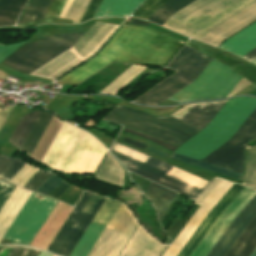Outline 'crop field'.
I'll list each match as a JSON object with an SVG mask.
<instances>
[{
  "label": "crop field",
  "mask_w": 256,
  "mask_h": 256,
  "mask_svg": "<svg viewBox=\"0 0 256 256\" xmlns=\"http://www.w3.org/2000/svg\"><path fill=\"white\" fill-rule=\"evenodd\" d=\"M117 27L95 22L75 46L32 72L31 75L58 78L93 55Z\"/></svg>",
  "instance_id": "crop-field-10"
},
{
  "label": "crop field",
  "mask_w": 256,
  "mask_h": 256,
  "mask_svg": "<svg viewBox=\"0 0 256 256\" xmlns=\"http://www.w3.org/2000/svg\"><path fill=\"white\" fill-rule=\"evenodd\" d=\"M39 113L40 111H33L24 115L21 118L15 131L13 132L8 143L19 148L20 144L22 143L23 139L25 138L26 134L33 125ZM53 116L54 115L51 113L41 111L31 130L21 144L19 150L25 151L31 156Z\"/></svg>",
  "instance_id": "crop-field-14"
},
{
  "label": "crop field",
  "mask_w": 256,
  "mask_h": 256,
  "mask_svg": "<svg viewBox=\"0 0 256 256\" xmlns=\"http://www.w3.org/2000/svg\"><path fill=\"white\" fill-rule=\"evenodd\" d=\"M244 186L234 184L231 189L224 195V197L216 204V206L211 210L178 256H190L198 244L202 241L220 215L225 211V209L231 204V202L236 198V196L242 191Z\"/></svg>",
  "instance_id": "crop-field-19"
},
{
  "label": "crop field",
  "mask_w": 256,
  "mask_h": 256,
  "mask_svg": "<svg viewBox=\"0 0 256 256\" xmlns=\"http://www.w3.org/2000/svg\"><path fill=\"white\" fill-rule=\"evenodd\" d=\"M14 188V185H11L9 183L3 182L0 180V207L3 204V202L6 200L12 189Z\"/></svg>",
  "instance_id": "crop-field-41"
},
{
  "label": "crop field",
  "mask_w": 256,
  "mask_h": 256,
  "mask_svg": "<svg viewBox=\"0 0 256 256\" xmlns=\"http://www.w3.org/2000/svg\"><path fill=\"white\" fill-rule=\"evenodd\" d=\"M70 185H68L65 182H62L50 195L49 197H53L58 199L68 188Z\"/></svg>",
  "instance_id": "crop-field-42"
},
{
  "label": "crop field",
  "mask_w": 256,
  "mask_h": 256,
  "mask_svg": "<svg viewBox=\"0 0 256 256\" xmlns=\"http://www.w3.org/2000/svg\"><path fill=\"white\" fill-rule=\"evenodd\" d=\"M227 101L229 100L188 104L178 109L172 116L184 120L202 130Z\"/></svg>",
  "instance_id": "crop-field-20"
},
{
  "label": "crop field",
  "mask_w": 256,
  "mask_h": 256,
  "mask_svg": "<svg viewBox=\"0 0 256 256\" xmlns=\"http://www.w3.org/2000/svg\"><path fill=\"white\" fill-rule=\"evenodd\" d=\"M170 158L180 160V161H183V162L195 165V166H199V167H202V168H205V169H208V170H211V171H215V172H218V173H221V174H224V175L234 177V178H237V179L241 180V176H242L241 174H238V173H235V172H232V171H228V170H225V169H222V168L210 165V164H206V163H203V162H200V161L188 158V157H184V156L173 153L170 156Z\"/></svg>",
  "instance_id": "crop-field-33"
},
{
  "label": "crop field",
  "mask_w": 256,
  "mask_h": 256,
  "mask_svg": "<svg viewBox=\"0 0 256 256\" xmlns=\"http://www.w3.org/2000/svg\"><path fill=\"white\" fill-rule=\"evenodd\" d=\"M52 173L39 169L22 187L35 191Z\"/></svg>",
  "instance_id": "crop-field-35"
},
{
  "label": "crop field",
  "mask_w": 256,
  "mask_h": 256,
  "mask_svg": "<svg viewBox=\"0 0 256 256\" xmlns=\"http://www.w3.org/2000/svg\"><path fill=\"white\" fill-rule=\"evenodd\" d=\"M30 194L31 191L16 186L0 209V240L5 235Z\"/></svg>",
  "instance_id": "crop-field-23"
},
{
  "label": "crop field",
  "mask_w": 256,
  "mask_h": 256,
  "mask_svg": "<svg viewBox=\"0 0 256 256\" xmlns=\"http://www.w3.org/2000/svg\"><path fill=\"white\" fill-rule=\"evenodd\" d=\"M110 152L129 170L196 199L209 182L114 142Z\"/></svg>",
  "instance_id": "crop-field-5"
},
{
  "label": "crop field",
  "mask_w": 256,
  "mask_h": 256,
  "mask_svg": "<svg viewBox=\"0 0 256 256\" xmlns=\"http://www.w3.org/2000/svg\"><path fill=\"white\" fill-rule=\"evenodd\" d=\"M25 163L20 158L0 154V178L9 181Z\"/></svg>",
  "instance_id": "crop-field-31"
},
{
  "label": "crop field",
  "mask_w": 256,
  "mask_h": 256,
  "mask_svg": "<svg viewBox=\"0 0 256 256\" xmlns=\"http://www.w3.org/2000/svg\"><path fill=\"white\" fill-rule=\"evenodd\" d=\"M165 247L139 225L120 256H159Z\"/></svg>",
  "instance_id": "crop-field-22"
},
{
  "label": "crop field",
  "mask_w": 256,
  "mask_h": 256,
  "mask_svg": "<svg viewBox=\"0 0 256 256\" xmlns=\"http://www.w3.org/2000/svg\"><path fill=\"white\" fill-rule=\"evenodd\" d=\"M106 151L92 135L64 122L42 163L65 173L94 174Z\"/></svg>",
  "instance_id": "crop-field-4"
},
{
  "label": "crop field",
  "mask_w": 256,
  "mask_h": 256,
  "mask_svg": "<svg viewBox=\"0 0 256 256\" xmlns=\"http://www.w3.org/2000/svg\"><path fill=\"white\" fill-rule=\"evenodd\" d=\"M170 0H149L134 17L148 20L155 12H157L164 4ZM194 0H172L164 5L156 14L149 20L162 25L176 11L183 8Z\"/></svg>",
  "instance_id": "crop-field-21"
},
{
  "label": "crop field",
  "mask_w": 256,
  "mask_h": 256,
  "mask_svg": "<svg viewBox=\"0 0 256 256\" xmlns=\"http://www.w3.org/2000/svg\"><path fill=\"white\" fill-rule=\"evenodd\" d=\"M146 196L150 199L156 208L160 219L176 196V193L156 184L150 183Z\"/></svg>",
  "instance_id": "crop-field-27"
},
{
  "label": "crop field",
  "mask_w": 256,
  "mask_h": 256,
  "mask_svg": "<svg viewBox=\"0 0 256 256\" xmlns=\"http://www.w3.org/2000/svg\"><path fill=\"white\" fill-rule=\"evenodd\" d=\"M90 0H73L64 18L79 23ZM53 0H30L20 22L41 20L47 14ZM66 0H54L46 17H58Z\"/></svg>",
  "instance_id": "crop-field-15"
},
{
  "label": "crop field",
  "mask_w": 256,
  "mask_h": 256,
  "mask_svg": "<svg viewBox=\"0 0 256 256\" xmlns=\"http://www.w3.org/2000/svg\"><path fill=\"white\" fill-rule=\"evenodd\" d=\"M251 256H256V250L253 252V254Z\"/></svg>",
  "instance_id": "crop-field-44"
},
{
  "label": "crop field",
  "mask_w": 256,
  "mask_h": 256,
  "mask_svg": "<svg viewBox=\"0 0 256 256\" xmlns=\"http://www.w3.org/2000/svg\"><path fill=\"white\" fill-rule=\"evenodd\" d=\"M211 60L186 45L167 67L178 72L134 100V102L147 105L159 104L194 81Z\"/></svg>",
  "instance_id": "crop-field-8"
},
{
  "label": "crop field",
  "mask_w": 256,
  "mask_h": 256,
  "mask_svg": "<svg viewBox=\"0 0 256 256\" xmlns=\"http://www.w3.org/2000/svg\"><path fill=\"white\" fill-rule=\"evenodd\" d=\"M62 180H64V179L53 174L45 183H43L36 190V192H39L41 194L48 196Z\"/></svg>",
  "instance_id": "crop-field-37"
},
{
  "label": "crop field",
  "mask_w": 256,
  "mask_h": 256,
  "mask_svg": "<svg viewBox=\"0 0 256 256\" xmlns=\"http://www.w3.org/2000/svg\"><path fill=\"white\" fill-rule=\"evenodd\" d=\"M120 202L106 198L93 221L107 224ZM91 222L69 256H86L101 234L105 225Z\"/></svg>",
  "instance_id": "crop-field-17"
},
{
  "label": "crop field",
  "mask_w": 256,
  "mask_h": 256,
  "mask_svg": "<svg viewBox=\"0 0 256 256\" xmlns=\"http://www.w3.org/2000/svg\"><path fill=\"white\" fill-rule=\"evenodd\" d=\"M101 0H91L80 22L93 18Z\"/></svg>",
  "instance_id": "crop-field-39"
},
{
  "label": "crop field",
  "mask_w": 256,
  "mask_h": 256,
  "mask_svg": "<svg viewBox=\"0 0 256 256\" xmlns=\"http://www.w3.org/2000/svg\"><path fill=\"white\" fill-rule=\"evenodd\" d=\"M243 184L256 188V146L247 147V164Z\"/></svg>",
  "instance_id": "crop-field-32"
},
{
  "label": "crop field",
  "mask_w": 256,
  "mask_h": 256,
  "mask_svg": "<svg viewBox=\"0 0 256 256\" xmlns=\"http://www.w3.org/2000/svg\"><path fill=\"white\" fill-rule=\"evenodd\" d=\"M256 47V23L226 41L220 48L228 50L239 57Z\"/></svg>",
  "instance_id": "crop-field-25"
},
{
  "label": "crop field",
  "mask_w": 256,
  "mask_h": 256,
  "mask_svg": "<svg viewBox=\"0 0 256 256\" xmlns=\"http://www.w3.org/2000/svg\"><path fill=\"white\" fill-rule=\"evenodd\" d=\"M233 183L223 180L220 185L212 192V194L199 207L193 217L189 220L183 230L179 233L173 243L169 246L163 256H176L209 211L222 198V196L230 189Z\"/></svg>",
  "instance_id": "crop-field-16"
},
{
  "label": "crop field",
  "mask_w": 256,
  "mask_h": 256,
  "mask_svg": "<svg viewBox=\"0 0 256 256\" xmlns=\"http://www.w3.org/2000/svg\"><path fill=\"white\" fill-rule=\"evenodd\" d=\"M37 170L38 168H35L26 163L10 180V182L22 186Z\"/></svg>",
  "instance_id": "crop-field-36"
},
{
  "label": "crop field",
  "mask_w": 256,
  "mask_h": 256,
  "mask_svg": "<svg viewBox=\"0 0 256 256\" xmlns=\"http://www.w3.org/2000/svg\"><path fill=\"white\" fill-rule=\"evenodd\" d=\"M96 177L122 186L123 169L119 163L108 154Z\"/></svg>",
  "instance_id": "crop-field-29"
},
{
  "label": "crop field",
  "mask_w": 256,
  "mask_h": 256,
  "mask_svg": "<svg viewBox=\"0 0 256 256\" xmlns=\"http://www.w3.org/2000/svg\"><path fill=\"white\" fill-rule=\"evenodd\" d=\"M182 43L149 27L123 25L96 57L59 81L78 84L110 62L162 68Z\"/></svg>",
  "instance_id": "crop-field-2"
},
{
  "label": "crop field",
  "mask_w": 256,
  "mask_h": 256,
  "mask_svg": "<svg viewBox=\"0 0 256 256\" xmlns=\"http://www.w3.org/2000/svg\"><path fill=\"white\" fill-rule=\"evenodd\" d=\"M255 110L254 98L241 97L230 100L201 132L180 146L175 153L201 160L228 140ZM254 137L256 111L227 142L202 161L242 174L244 146Z\"/></svg>",
  "instance_id": "crop-field-1"
},
{
  "label": "crop field",
  "mask_w": 256,
  "mask_h": 256,
  "mask_svg": "<svg viewBox=\"0 0 256 256\" xmlns=\"http://www.w3.org/2000/svg\"><path fill=\"white\" fill-rule=\"evenodd\" d=\"M256 248V217L248 225L226 256H250Z\"/></svg>",
  "instance_id": "crop-field-26"
},
{
  "label": "crop field",
  "mask_w": 256,
  "mask_h": 256,
  "mask_svg": "<svg viewBox=\"0 0 256 256\" xmlns=\"http://www.w3.org/2000/svg\"><path fill=\"white\" fill-rule=\"evenodd\" d=\"M57 200L32 192L4 239L30 245Z\"/></svg>",
  "instance_id": "crop-field-12"
},
{
  "label": "crop field",
  "mask_w": 256,
  "mask_h": 256,
  "mask_svg": "<svg viewBox=\"0 0 256 256\" xmlns=\"http://www.w3.org/2000/svg\"><path fill=\"white\" fill-rule=\"evenodd\" d=\"M222 179L216 178L211 185L201 194V196L195 201V204L201 205L203 201L210 195V193L219 185Z\"/></svg>",
  "instance_id": "crop-field-40"
},
{
  "label": "crop field",
  "mask_w": 256,
  "mask_h": 256,
  "mask_svg": "<svg viewBox=\"0 0 256 256\" xmlns=\"http://www.w3.org/2000/svg\"><path fill=\"white\" fill-rule=\"evenodd\" d=\"M27 0H0V26L14 25Z\"/></svg>",
  "instance_id": "crop-field-28"
},
{
  "label": "crop field",
  "mask_w": 256,
  "mask_h": 256,
  "mask_svg": "<svg viewBox=\"0 0 256 256\" xmlns=\"http://www.w3.org/2000/svg\"><path fill=\"white\" fill-rule=\"evenodd\" d=\"M256 216V195L234 219L207 256H225L247 225Z\"/></svg>",
  "instance_id": "crop-field-18"
},
{
  "label": "crop field",
  "mask_w": 256,
  "mask_h": 256,
  "mask_svg": "<svg viewBox=\"0 0 256 256\" xmlns=\"http://www.w3.org/2000/svg\"><path fill=\"white\" fill-rule=\"evenodd\" d=\"M104 200L105 197L86 191L49 251L68 256Z\"/></svg>",
  "instance_id": "crop-field-11"
},
{
  "label": "crop field",
  "mask_w": 256,
  "mask_h": 256,
  "mask_svg": "<svg viewBox=\"0 0 256 256\" xmlns=\"http://www.w3.org/2000/svg\"><path fill=\"white\" fill-rule=\"evenodd\" d=\"M251 63H253V64H255L256 65V60H254L253 62H251Z\"/></svg>",
  "instance_id": "crop-field-45"
},
{
  "label": "crop field",
  "mask_w": 256,
  "mask_h": 256,
  "mask_svg": "<svg viewBox=\"0 0 256 256\" xmlns=\"http://www.w3.org/2000/svg\"><path fill=\"white\" fill-rule=\"evenodd\" d=\"M243 59H245V60H247V61H249V62H251V61H253L254 59H256V48H255L254 50L250 51L249 53H247V54L243 57Z\"/></svg>",
  "instance_id": "crop-field-43"
},
{
  "label": "crop field",
  "mask_w": 256,
  "mask_h": 256,
  "mask_svg": "<svg viewBox=\"0 0 256 256\" xmlns=\"http://www.w3.org/2000/svg\"><path fill=\"white\" fill-rule=\"evenodd\" d=\"M83 35L84 33L61 34L30 39L26 42L23 41L9 46L0 45V63L25 42L5 61H3L2 64L29 74L73 46ZM0 69L25 79H34L51 83L49 80L22 75L20 72L1 65Z\"/></svg>",
  "instance_id": "crop-field-6"
},
{
  "label": "crop field",
  "mask_w": 256,
  "mask_h": 256,
  "mask_svg": "<svg viewBox=\"0 0 256 256\" xmlns=\"http://www.w3.org/2000/svg\"><path fill=\"white\" fill-rule=\"evenodd\" d=\"M242 76L230 67L212 60L198 78L168 100L187 102L225 98Z\"/></svg>",
  "instance_id": "crop-field-9"
},
{
  "label": "crop field",
  "mask_w": 256,
  "mask_h": 256,
  "mask_svg": "<svg viewBox=\"0 0 256 256\" xmlns=\"http://www.w3.org/2000/svg\"><path fill=\"white\" fill-rule=\"evenodd\" d=\"M144 0H102L94 18L127 17Z\"/></svg>",
  "instance_id": "crop-field-24"
},
{
  "label": "crop field",
  "mask_w": 256,
  "mask_h": 256,
  "mask_svg": "<svg viewBox=\"0 0 256 256\" xmlns=\"http://www.w3.org/2000/svg\"><path fill=\"white\" fill-rule=\"evenodd\" d=\"M145 68V66L133 65L100 93L114 95Z\"/></svg>",
  "instance_id": "crop-field-30"
},
{
  "label": "crop field",
  "mask_w": 256,
  "mask_h": 256,
  "mask_svg": "<svg viewBox=\"0 0 256 256\" xmlns=\"http://www.w3.org/2000/svg\"><path fill=\"white\" fill-rule=\"evenodd\" d=\"M39 250L20 246H1L0 256H36Z\"/></svg>",
  "instance_id": "crop-field-34"
},
{
  "label": "crop field",
  "mask_w": 256,
  "mask_h": 256,
  "mask_svg": "<svg viewBox=\"0 0 256 256\" xmlns=\"http://www.w3.org/2000/svg\"><path fill=\"white\" fill-rule=\"evenodd\" d=\"M255 20L256 0H195L163 26L217 47Z\"/></svg>",
  "instance_id": "crop-field-3"
},
{
  "label": "crop field",
  "mask_w": 256,
  "mask_h": 256,
  "mask_svg": "<svg viewBox=\"0 0 256 256\" xmlns=\"http://www.w3.org/2000/svg\"><path fill=\"white\" fill-rule=\"evenodd\" d=\"M123 131H126V132H129V133L135 134L137 136L149 139V140H151V141H153V142H155V143H157V144H159V145H161V146H163V147H165V148H167V149H169V150H171L173 152L177 149V147H175L173 145H170V144H168L166 142H163V141H161V140H159L157 138H154V137H152L150 135L143 134V133H140V132H136V131L130 130L128 128H125V127L123 128Z\"/></svg>",
  "instance_id": "crop-field-38"
},
{
  "label": "crop field",
  "mask_w": 256,
  "mask_h": 256,
  "mask_svg": "<svg viewBox=\"0 0 256 256\" xmlns=\"http://www.w3.org/2000/svg\"><path fill=\"white\" fill-rule=\"evenodd\" d=\"M104 119L151 134L177 146L201 131L172 116L154 117L120 105Z\"/></svg>",
  "instance_id": "crop-field-7"
},
{
  "label": "crop field",
  "mask_w": 256,
  "mask_h": 256,
  "mask_svg": "<svg viewBox=\"0 0 256 256\" xmlns=\"http://www.w3.org/2000/svg\"><path fill=\"white\" fill-rule=\"evenodd\" d=\"M126 208L127 207L123 203H121L118 210L125 212ZM118 210L115 212L114 216L105 227L104 231L102 232L87 256H108V254L110 253V251L112 250V248L114 247V245L116 244V242L118 241L125 228L134 216L133 212L128 208L125 213ZM137 224L138 222L134 216L109 256H117L119 254Z\"/></svg>",
  "instance_id": "crop-field-13"
},
{
  "label": "crop field",
  "mask_w": 256,
  "mask_h": 256,
  "mask_svg": "<svg viewBox=\"0 0 256 256\" xmlns=\"http://www.w3.org/2000/svg\"><path fill=\"white\" fill-rule=\"evenodd\" d=\"M54 256H56V255H54Z\"/></svg>",
  "instance_id": "crop-field-46"
}]
</instances>
